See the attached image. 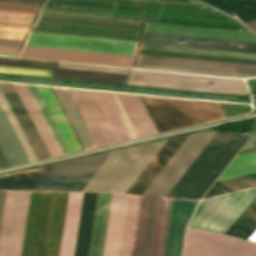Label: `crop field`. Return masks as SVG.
I'll return each mask as SVG.
<instances>
[{
    "label": "crop field",
    "mask_w": 256,
    "mask_h": 256,
    "mask_svg": "<svg viewBox=\"0 0 256 256\" xmlns=\"http://www.w3.org/2000/svg\"><path fill=\"white\" fill-rule=\"evenodd\" d=\"M168 2H177V3H186V4H195L199 5L191 0H163ZM47 2L53 3H64V4H74V5H85V6H96V7H106L118 9V10H127V11H136V12H145V13H154V14H178V15H189V16H200V17H210V18H220V19H229V18L217 11H210L208 8L200 5V6H193V5H181V4H169L163 3L158 1H149V0H47ZM46 2V4H47ZM46 4L44 8L46 7ZM44 10V9H43ZM84 10V9H83ZM114 10L113 12L118 13H129V14H139V15H150V16H161V17H172V18H182V19H193V20H204V21H214V22H224V23H239L238 21H217V20H207V19H197V18H187V17H177V16H167V15H154V14H145V13H136V12H127V11H118ZM51 11V10H48ZM94 11V10H93ZM64 12V11H58ZM105 12V11H103ZM68 13H77V12H68ZM116 13V14H118ZM78 14H87V15H97V14H88V13H78ZM126 14V15H129ZM136 15V16H139ZM97 16H106V15H97ZM112 16V15H111ZM107 16V17H111ZM150 16H141V17H150ZM117 18H127V19H137V20H148V19H138V18H128V17H118ZM161 17H150V18H159L162 20H172V21H182V22H191V23H201V24H211V25H220V26H230V27H240L239 25L233 24H223V23H213V22H203V21H193V20H182V19H172V18H161ZM38 20L44 21H54V22H64V23H74V24H84V25H94V26H104V27H114V28H124V29H134V30H141L140 26L134 25H123V24H112V23H101V22H90V21H79V20H68V19H57V18H46V17H39ZM149 21H159V20H149ZM144 21V22H149ZM159 22H169V21H159ZM159 22H152V23H159ZM170 23H179V22H170ZM170 23H162V24H170ZM180 24H189V23H180ZM180 24H172V25H180ZM242 25L241 23H239ZM191 25H199V24H191ZM191 25H183V26H191ZM202 26H210V25H202ZM202 26H193V27H202ZM220 26H212V27H220ZM243 26V25H242ZM212 27H204V28H212ZM230 27H223V28H230ZM244 27V26H243ZM223 28H214V29H223ZM238 29V28H233ZM233 29H224V30H233ZM33 31L38 32H48V33H58V34H69V35H80V36H90V37H101V38H112V39H122V40H133L138 41V37L132 36H122V35H112V34H102V33H92V32H81V31H71V30H61V29H51V28H41V27H34ZM239 31V30H235ZM242 31L250 32L248 29H242Z\"/></svg>",
    "instance_id": "obj_1"
},
{
    "label": "crop field",
    "mask_w": 256,
    "mask_h": 256,
    "mask_svg": "<svg viewBox=\"0 0 256 256\" xmlns=\"http://www.w3.org/2000/svg\"><path fill=\"white\" fill-rule=\"evenodd\" d=\"M68 90L97 147L137 138L115 93Z\"/></svg>",
    "instance_id": "obj_2"
},
{
    "label": "crop field",
    "mask_w": 256,
    "mask_h": 256,
    "mask_svg": "<svg viewBox=\"0 0 256 256\" xmlns=\"http://www.w3.org/2000/svg\"><path fill=\"white\" fill-rule=\"evenodd\" d=\"M164 142L113 151L83 190L125 193Z\"/></svg>",
    "instance_id": "obj_3"
},
{
    "label": "crop field",
    "mask_w": 256,
    "mask_h": 256,
    "mask_svg": "<svg viewBox=\"0 0 256 256\" xmlns=\"http://www.w3.org/2000/svg\"><path fill=\"white\" fill-rule=\"evenodd\" d=\"M143 98L160 132L223 118L213 101Z\"/></svg>",
    "instance_id": "obj_4"
},
{
    "label": "crop field",
    "mask_w": 256,
    "mask_h": 256,
    "mask_svg": "<svg viewBox=\"0 0 256 256\" xmlns=\"http://www.w3.org/2000/svg\"><path fill=\"white\" fill-rule=\"evenodd\" d=\"M128 84L196 90L225 94H248L243 80L131 69ZM216 87H213L214 85Z\"/></svg>",
    "instance_id": "obj_5"
},
{
    "label": "crop field",
    "mask_w": 256,
    "mask_h": 256,
    "mask_svg": "<svg viewBox=\"0 0 256 256\" xmlns=\"http://www.w3.org/2000/svg\"><path fill=\"white\" fill-rule=\"evenodd\" d=\"M255 197L256 188H252L204 199L188 227L223 233Z\"/></svg>",
    "instance_id": "obj_6"
},
{
    "label": "crop field",
    "mask_w": 256,
    "mask_h": 256,
    "mask_svg": "<svg viewBox=\"0 0 256 256\" xmlns=\"http://www.w3.org/2000/svg\"><path fill=\"white\" fill-rule=\"evenodd\" d=\"M137 68L247 78L256 65L140 54Z\"/></svg>",
    "instance_id": "obj_7"
},
{
    "label": "crop field",
    "mask_w": 256,
    "mask_h": 256,
    "mask_svg": "<svg viewBox=\"0 0 256 256\" xmlns=\"http://www.w3.org/2000/svg\"><path fill=\"white\" fill-rule=\"evenodd\" d=\"M97 193L84 192L74 256H87ZM111 193H98L89 256H101Z\"/></svg>",
    "instance_id": "obj_8"
},
{
    "label": "crop field",
    "mask_w": 256,
    "mask_h": 256,
    "mask_svg": "<svg viewBox=\"0 0 256 256\" xmlns=\"http://www.w3.org/2000/svg\"><path fill=\"white\" fill-rule=\"evenodd\" d=\"M30 192L6 191L0 223V256H20Z\"/></svg>",
    "instance_id": "obj_9"
},
{
    "label": "crop field",
    "mask_w": 256,
    "mask_h": 256,
    "mask_svg": "<svg viewBox=\"0 0 256 256\" xmlns=\"http://www.w3.org/2000/svg\"><path fill=\"white\" fill-rule=\"evenodd\" d=\"M214 133L189 135L143 195L165 197Z\"/></svg>",
    "instance_id": "obj_10"
},
{
    "label": "crop field",
    "mask_w": 256,
    "mask_h": 256,
    "mask_svg": "<svg viewBox=\"0 0 256 256\" xmlns=\"http://www.w3.org/2000/svg\"><path fill=\"white\" fill-rule=\"evenodd\" d=\"M111 152L56 164L37 190H82Z\"/></svg>",
    "instance_id": "obj_11"
},
{
    "label": "crop field",
    "mask_w": 256,
    "mask_h": 256,
    "mask_svg": "<svg viewBox=\"0 0 256 256\" xmlns=\"http://www.w3.org/2000/svg\"><path fill=\"white\" fill-rule=\"evenodd\" d=\"M183 256H256V244L187 229Z\"/></svg>",
    "instance_id": "obj_12"
},
{
    "label": "crop field",
    "mask_w": 256,
    "mask_h": 256,
    "mask_svg": "<svg viewBox=\"0 0 256 256\" xmlns=\"http://www.w3.org/2000/svg\"><path fill=\"white\" fill-rule=\"evenodd\" d=\"M136 42L33 32L27 45L133 55Z\"/></svg>",
    "instance_id": "obj_13"
},
{
    "label": "crop field",
    "mask_w": 256,
    "mask_h": 256,
    "mask_svg": "<svg viewBox=\"0 0 256 256\" xmlns=\"http://www.w3.org/2000/svg\"><path fill=\"white\" fill-rule=\"evenodd\" d=\"M20 57L133 67L135 56L25 46Z\"/></svg>",
    "instance_id": "obj_14"
},
{
    "label": "crop field",
    "mask_w": 256,
    "mask_h": 256,
    "mask_svg": "<svg viewBox=\"0 0 256 256\" xmlns=\"http://www.w3.org/2000/svg\"><path fill=\"white\" fill-rule=\"evenodd\" d=\"M172 202L152 198L143 256H164Z\"/></svg>",
    "instance_id": "obj_15"
},
{
    "label": "crop field",
    "mask_w": 256,
    "mask_h": 256,
    "mask_svg": "<svg viewBox=\"0 0 256 256\" xmlns=\"http://www.w3.org/2000/svg\"><path fill=\"white\" fill-rule=\"evenodd\" d=\"M142 42L256 53V42L246 41L145 32Z\"/></svg>",
    "instance_id": "obj_16"
},
{
    "label": "crop field",
    "mask_w": 256,
    "mask_h": 256,
    "mask_svg": "<svg viewBox=\"0 0 256 256\" xmlns=\"http://www.w3.org/2000/svg\"><path fill=\"white\" fill-rule=\"evenodd\" d=\"M140 53L255 63L256 54L142 43Z\"/></svg>",
    "instance_id": "obj_17"
},
{
    "label": "crop field",
    "mask_w": 256,
    "mask_h": 256,
    "mask_svg": "<svg viewBox=\"0 0 256 256\" xmlns=\"http://www.w3.org/2000/svg\"><path fill=\"white\" fill-rule=\"evenodd\" d=\"M231 135L216 133L166 197L183 198Z\"/></svg>",
    "instance_id": "obj_18"
},
{
    "label": "crop field",
    "mask_w": 256,
    "mask_h": 256,
    "mask_svg": "<svg viewBox=\"0 0 256 256\" xmlns=\"http://www.w3.org/2000/svg\"><path fill=\"white\" fill-rule=\"evenodd\" d=\"M0 90L5 97L12 113L14 114L20 128L22 129L29 145L31 146L37 160L49 157V154L26 109L24 108L13 84L0 82Z\"/></svg>",
    "instance_id": "obj_19"
},
{
    "label": "crop field",
    "mask_w": 256,
    "mask_h": 256,
    "mask_svg": "<svg viewBox=\"0 0 256 256\" xmlns=\"http://www.w3.org/2000/svg\"><path fill=\"white\" fill-rule=\"evenodd\" d=\"M248 137L233 134L184 198L200 199Z\"/></svg>",
    "instance_id": "obj_20"
},
{
    "label": "crop field",
    "mask_w": 256,
    "mask_h": 256,
    "mask_svg": "<svg viewBox=\"0 0 256 256\" xmlns=\"http://www.w3.org/2000/svg\"><path fill=\"white\" fill-rule=\"evenodd\" d=\"M128 69L59 62L56 76L125 84Z\"/></svg>",
    "instance_id": "obj_21"
},
{
    "label": "crop field",
    "mask_w": 256,
    "mask_h": 256,
    "mask_svg": "<svg viewBox=\"0 0 256 256\" xmlns=\"http://www.w3.org/2000/svg\"><path fill=\"white\" fill-rule=\"evenodd\" d=\"M187 136L167 139L126 193L142 195Z\"/></svg>",
    "instance_id": "obj_22"
},
{
    "label": "crop field",
    "mask_w": 256,
    "mask_h": 256,
    "mask_svg": "<svg viewBox=\"0 0 256 256\" xmlns=\"http://www.w3.org/2000/svg\"><path fill=\"white\" fill-rule=\"evenodd\" d=\"M197 202L174 199L165 256H181L185 226Z\"/></svg>",
    "instance_id": "obj_23"
},
{
    "label": "crop field",
    "mask_w": 256,
    "mask_h": 256,
    "mask_svg": "<svg viewBox=\"0 0 256 256\" xmlns=\"http://www.w3.org/2000/svg\"><path fill=\"white\" fill-rule=\"evenodd\" d=\"M138 138L158 134V131L144 107L139 95L116 93Z\"/></svg>",
    "instance_id": "obj_24"
},
{
    "label": "crop field",
    "mask_w": 256,
    "mask_h": 256,
    "mask_svg": "<svg viewBox=\"0 0 256 256\" xmlns=\"http://www.w3.org/2000/svg\"><path fill=\"white\" fill-rule=\"evenodd\" d=\"M127 195L112 194L103 256H117Z\"/></svg>",
    "instance_id": "obj_25"
},
{
    "label": "crop field",
    "mask_w": 256,
    "mask_h": 256,
    "mask_svg": "<svg viewBox=\"0 0 256 256\" xmlns=\"http://www.w3.org/2000/svg\"><path fill=\"white\" fill-rule=\"evenodd\" d=\"M82 195L69 192L59 256H73Z\"/></svg>",
    "instance_id": "obj_26"
},
{
    "label": "crop field",
    "mask_w": 256,
    "mask_h": 256,
    "mask_svg": "<svg viewBox=\"0 0 256 256\" xmlns=\"http://www.w3.org/2000/svg\"><path fill=\"white\" fill-rule=\"evenodd\" d=\"M141 200L128 195L118 256H133Z\"/></svg>",
    "instance_id": "obj_27"
},
{
    "label": "crop field",
    "mask_w": 256,
    "mask_h": 256,
    "mask_svg": "<svg viewBox=\"0 0 256 256\" xmlns=\"http://www.w3.org/2000/svg\"><path fill=\"white\" fill-rule=\"evenodd\" d=\"M145 31L256 41V36H254L252 33L170 26V25H160V24H149V23H147Z\"/></svg>",
    "instance_id": "obj_28"
},
{
    "label": "crop field",
    "mask_w": 256,
    "mask_h": 256,
    "mask_svg": "<svg viewBox=\"0 0 256 256\" xmlns=\"http://www.w3.org/2000/svg\"><path fill=\"white\" fill-rule=\"evenodd\" d=\"M25 108L27 109L37 131L39 132L50 156L53 155H59L60 152L53 140V138L51 137L44 121L42 120L34 102L32 101L25 85H18V84H14Z\"/></svg>",
    "instance_id": "obj_29"
},
{
    "label": "crop field",
    "mask_w": 256,
    "mask_h": 256,
    "mask_svg": "<svg viewBox=\"0 0 256 256\" xmlns=\"http://www.w3.org/2000/svg\"><path fill=\"white\" fill-rule=\"evenodd\" d=\"M0 146L10 166L28 162L1 108H0Z\"/></svg>",
    "instance_id": "obj_30"
},
{
    "label": "crop field",
    "mask_w": 256,
    "mask_h": 256,
    "mask_svg": "<svg viewBox=\"0 0 256 256\" xmlns=\"http://www.w3.org/2000/svg\"><path fill=\"white\" fill-rule=\"evenodd\" d=\"M52 62L22 58L1 57L0 65L50 70ZM0 66V72L48 77L50 71Z\"/></svg>",
    "instance_id": "obj_31"
},
{
    "label": "crop field",
    "mask_w": 256,
    "mask_h": 256,
    "mask_svg": "<svg viewBox=\"0 0 256 256\" xmlns=\"http://www.w3.org/2000/svg\"><path fill=\"white\" fill-rule=\"evenodd\" d=\"M48 173H37L29 170L0 176V189L36 190Z\"/></svg>",
    "instance_id": "obj_32"
},
{
    "label": "crop field",
    "mask_w": 256,
    "mask_h": 256,
    "mask_svg": "<svg viewBox=\"0 0 256 256\" xmlns=\"http://www.w3.org/2000/svg\"><path fill=\"white\" fill-rule=\"evenodd\" d=\"M256 230V198L224 232L247 240Z\"/></svg>",
    "instance_id": "obj_33"
},
{
    "label": "crop field",
    "mask_w": 256,
    "mask_h": 256,
    "mask_svg": "<svg viewBox=\"0 0 256 256\" xmlns=\"http://www.w3.org/2000/svg\"><path fill=\"white\" fill-rule=\"evenodd\" d=\"M256 186V173L215 182L205 197L241 190ZM204 197V198H205Z\"/></svg>",
    "instance_id": "obj_34"
},
{
    "label": "crop field",
    "mask_w": 256,
    "mask_h": 256,
    "mask_svg": "<svg viewBox=\"0 0 256 256\" xmlns=\"http://www.w3.org/2000/svg\"><path fill=\"white\" fill-rule=\"evenodd\" d=\"M256 172V152L236 156L218 180Z\"/></svg>",
    "instance_id": "obj_35"
},
{
    "label": "crop field",
    "mask_w": 256,
    "mask_h": 256,
    "mask_svg": "<svg viewBox=\"0 0 256 256\" xmlns=\"http://www.w3.org/2000/svg\"><path fill=\"white\" fill-rule=\"evenodd\" d=\"M33 101L35 102L42 118L44 119L52 137L54 138L61 154H64V153H68L69 150L64 142V140L62 139L57 127L55 126L49 112L47 111L42 99L40 98L35 86H29V85H26Z\"/></svg>",
    "instance_id": "obj_36"
},
{
    "label": "crop field",
    "mask_w": 256,
    "mask_h": 256,
    "mask_svg": "<svg viewBox=\"0 0 256 256\" xmlns=\"http://www.w3.org/2000/svg\"><path fill=\"white\" fill-rule=\"evenodd\" d=\"M0 106H1L5 116L7 118V120L9 121V123H10L18 141L20 142V144H21L29 162L36 161V158H35L32 150H31L30 146L28 145L21 129L19 128V126H18L13 114L11 113V111H10L4 97L2 96L1 92H0Z\"/></svg>",
    "instance_id": "obj_37"
},
{
    "label": "crop field",
    "mask_w": 256,
    "mask_h": 256,
    "mask_svg": "<svg viewBox=\"0 0 256 256\" xmlns=\"http://www.w3.org/2000/svg\"><path fill=\"white\" fill-rule=\"evenodd\" d=\"M151 198L143 197L134 256H142Z\"/></svg>",
    "instance_id": "obj_38"
},
{
    "label": "crop field",
    "mask_w": 256,
    "mask_h": 256,
    "mask_svg": "<svg viewBox=\"0 0 256 256\" xmlns=\"http://www.w3.org/2000/svg\"><path fill=\"white\" fill-rule=\"evenodd\" d=\"M22 41L0 39V45L20 47ZM0 46V55L16 56L19 48Z\"/></svg>",
    "instance_id": "obj_39"
},
{
    "label": "crop field",
    "mask_w": 256,
    "mask_h": 256,
    "mask_svg": "<svg viewBox=\"0 0 256 256\" xmlns=\"http://www.w3.org/2000/svg\"><path fill=\"white\" fill-rule=\"evenodd\" d=\"M39 6L0 2V9L36 13Z\"/></svg>",
    "instance_id": "obj_40"
},
{
    "label": "crop field",
    "mask_w": 256,
    "mask_h": 256,
    "mask_svg": "<svg viewBox=\"0 0 256 256\" xmlns=\"http://www.w3.org/2000/svg\"><path fill=\"white\" fill-rule=\"evenodd\" d=\"M254 131H256V121H255ZM251 147H256V132L253 133V136L250 137V139L246 142V144L242 147V149L251 148Z\"/></svg>",
    "instance_id": "obj_41"
},
{
    "label": "crop field",
    "mask_w": 256,
    "mask_h": 256,
    "mask_svg": "<svg viewBox=\"0 0 256 256\" xmlns=\"http://www.w3.org/2000/svg\"><path fill=\"white\" fill-rule=\"evenodd\" d=\"M3 2H14V3H24V4H35L40 5L42 0H0Z\"/></svg>",
    "instance_id": "obj_42"
},
{
    "label": "crop field",
    "mask_w": 256,
    "mask_h": 256,
    "mask_svg": "<svg viewBox=\"0 0 256 256\" xmlns=\"http://www.w3.org/2000/svg\"><path fill=\"white\" fill-rule=\"evenodd\" d=\"M251 29H253L256 32V19L246 23Z\"/></svg>",
    "instance_id": "obj_43"
},
{
    "label": "crop field",
    "mask_w": 256,
    "mask_h": 256,
    "mask_svg": "<svg viewBox=\"0 0 256 256\" xmlns=\"http://www.w3.org/2000/svg\"><path fill=\"white\" fill-rule=\"evenodd\" d=\"M4 193H5V191H0V217H1V211H2Z\"/></svg>",
    "instance_id": "obj_44"
},
{
    "label": "crop field",
    "mask_w": 256,
    "mask_h": 256,
    "mask_svg": "<svg viewBox=\"0 0 256 256\" xmlns=\"http://www.w3.org/2000/svg\"><path fill=\"white\" fill-rule=\"evenodd\" d=\"M248 241L256 243V231L252 234V236L248 239Z\"/></svg>",
    "instance_id": "obj_45"
},
{
    "label": "crop field",
    "mask_w": 256,
    "mask_h": 256,
    "mask_svg": "<svg viewBox=\"0 0 256 256\" xmlns=\"http://www.w3.org/2000/svg\"><path fill=\"white\" fill-rule=\"evenodd\" d=\"M248 83V82H247ZM253 84H256V83H252V84H248L249 85V87H250V85H253ZM253 87H256V86H253ZM253 87H250V88H253ZM252 91V93L253 94H256V89H253V90H251Z\"/></svg>",
    "instance_id": "obj_46"
}]
</instances>
